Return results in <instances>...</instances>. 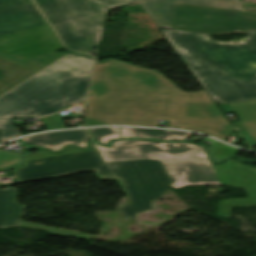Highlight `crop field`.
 <instances>
[{
    "label": "crop field",
    "instance_id": "8a807250",
    "mask_svg": "<svg viewBox=\"0 0 256 256\" xmlns=\"http://www.w3.org/2000/svg\"><path fill=\"white\" fill-rule=\"evenodd\" d=\"M199 130L224 141L235 130L206 90L188 93L156 70L96 63L83 126L133 124Z\"/></svg>",
    "mask_w": 256,
    "mask_h": 256
},
{
    "label": "crop field",
    "instance_id": "ac0d7876",
    "mask_svg": "<svg viewBox=\"0 0 256 256\" xmlns=\"http://www.w3.org/2000/svg\"><path fill=\"white\" fill-rule=\"evenodd\" d=\"M216 104L256 100V31L239 43L161 29Z\"/></svg>",
    "mask_w": 256,
    "mask_h": 256
},
{
    "label": "crop field",
    "instance_id": "34b2d1b8",
    "mask_svg": "<svg viewBox=\"0 0 256 256\" xmlns=\"http://www.w3.org/2000/svg\"><path fill=\"white\" fill-rule=\"evenodd\" d=\"M96 147L104 162L160 160L173 180L170 186L174 188L199 184L245 188L249 198L219 202L218 216L229 217L231 206L256 205V169L235 160L223 166H214L204 148L197 145L127 140L115 141L110 148Z\"/></svg>",
    "mask_w": 256,
    "mask_h": 256
},
{
    "label": "crop field",
    "instance_id": "412701ff",
    "mask_svg": "<svg viewBox=\"0 0 256 256\" xmlns=\"http://www.w3.org/2000/svg\"><path fill=\"white\" fill-rule=\"evenodd\" d=\"M95 172L99 179H116L127 195L129 205L121 206L124 220L153 209L152 201L170 191L172 182L160 161L138 160L102 163L96 149L29 161L17 170L24 182Z\"/></svg>",
    "mask_w": 256,
    "mask_h": 256
},
{
    "label": "crop field",
    "instance_id": "f4fd0767",
    "mask_svg": "<svg viewBox=\"0 0 256 256\" xmlns=\"http://www.w3.org/2000/svg\"><path fill=\"white\" fill-rule=\"evenodd\" d=\"M93 62L68 54L0 96V143L21 135L13 117H40L84 100Z\"/></svg>",
    "mask_w": 256,
    "mask_h": 256
},
{
    "label": "crop field",
    "instance_id": "dd49c442",
    "mask_svg": "<svg viewBox=\"0 0 256 256\" xmlns=\"http://www.w3.org/2000/svg\"><path fill=\"white\" fill-rule=\"evenodd\" d=\"M68 48L92 53L99 46L107 10L133 0H35Z\"/></svg>",
    "mask_w": 256,
    "mask_h": 256
},
{
    "label": "crop field",
    "instance_id": "e52e79f7",
    "mask_svg": "<svg viewBox=\"0 0 256 256\" xmlns=\"http://www.w3.org/2000/svg\"><path fill=\"white\" fill-rule=\"evenodd\" d=\"M170 29L211 34L256 30V11H238L173 3Z\"/></svg>",
    "mask_w": 256,
    "mask_h": 256
},
{
    "label": "crop field",
    "instance_id": "d8731c3e",
    "mask_svg": "<svg viewBox=\"0 0 256 256\" xmlns=\"http://www.w3.org/2000/svg\"><path fill=\"white\" fill-rule=\"evenodd\" d=\"M50 25L0 38V52L19 60L62 49Z\"/></svg>",
    "mask_w": 256,
    "mask_h": 256
},
{
    "label": "crop field",
    "instance_id": "5a996713",
    "mask_svg": "<svg viewBox=\"0 0 256 256\" xmlns=\"http://www.w3.org/2000/svg\"><path fill=\"white\" fill-rule=\"evenodd\" d=\"M44 24L32 0H0V37Z\"/></svg>",
    "mask_w": 256,
    "mask_h": 256
},
{
    "label": "crop field",
    "instance_id": "3316defc",
    "mask_svg": "<svg viewBox=\"0 0 256 256\" xmlns=\"http://www.w3.org/2000/svg\"><path fill=\"white\" fill-rule=\"evenodd\" d=\"M26 206L17 204V189H0V227H11V226H29L41 229L50 230L49 233L74 237L80 239H88L87 234L73 232L68 230H59L51 227L33 224L29 222L21 221V217L24 215ZM46 230V231H47Z\"/></svg>",
    "mask_w": 256,
    "mask_h": 256
},
{
    "label": "crop field",
    "instance_id": "28ad6ade",
    "mask_svg": "<svg viewBox=\"0 0 256 256\" xmlns=\"http://www.w3.org/2000/svg\"><path fill=\"white\" fill-rule=\"evenodd\" d=\"M159 28H169L172 2L244 10L239 0H138Z\"/></svg>",
    "mask_w": 256,
    "mask_h": 256
},
{
    "label": "crop field",
    "instance_id": "d1516ede",
    "mask_svg": "<svg viewBox=\"0 0 256 256\" xmlns=\"http://www.w3.org/2000/svg\"><path fill=\"white\" fill-rule=\"evenodd\" d=\"M90 138L86 130L48 133L22 139L35 147H45L54 151L61 150L67 144L87 148L86 142Z\"/></svg>",
    "mask_w": 256,
    "mask_h": 256
},
{
    "label": "crop field",
    "instance_id": "22f410ed",
    "mask_svg": "<svg viewBox=\"0 0 256 256\" xmlns=\"http://www.w3.org/2000/svg\"><path fill=\"white\" fill-rule=\"evenodd\" d=\"M121 137H137V138H157L162 141H181L190 138L192 133L155 130L145 128H121Z\"/></svg>",
    "mask_w": 256,
    "mask_h": 256
},
{
    "label": "crop field",
    "instance_id": "cbeb9de0",
    "mask_svg": "<svg viewBox=\"0 0 256 256\" xmlns=\"http://www.w3.org/2000/svg\"><path fill=\"white\" fill-rule=\"evenodd\" d=\"M256 142V101L229 104Z\"/></svg>",
    "mask_w": 256,
    "mask_h": 256
},
{
    "label": "crop field",
    "instance_id": "5142ce71",
    "mask_svg": "<svg viewBox=\"0 0 256 256\" xmlns=\"http://www.w3.org/2000/svg\"><path fill=\"white\" fill-rule=\"evenodd\" d=\"M66 54L67 53H53V54L42 56V57L30 60V61H26V62H21L19 60L12 59V58L4 56L2 54H0V57L39 72L40 70L44 69L45 67L52 64L53 62L60 59L61 57H63Z\"/></svg>",
    "mask_w": 256,
    "mask_h": 256
},
{
    "label": "crop field",
    "instance_id": "d9b57169",
    "mask_svg": "<svg viewBox=\"0 0 256 256\" xmlns=\"http://www.w3.org/2000/svg\"><path fill=\"white\" fill-rule=\"evenodd\" d=\"M209 141L213 143L210 147H208V150L214 160V162L219 163L226 159L229 156L236 155V152L239 150L237 148L229 147L223 144H220L218 142L212 141L210 139H205L204 141Z\"/></svg>",
    "mask_w": 256,
    "mask_h": 256
},
{
    "label": "crop field",
    "instance_id": "733c2abd",
    "mask_svg": "<svg viewBox=\"0 0 256 256\" xmlns=\"http://www.w3.org/2000/svg\"><path fill=\"white\" fill-rule=\"evenodd\" d=\"M89 130L95 140L105 145H107L111 139L121 138L119 127L95 128Z\"/></svg>",
    "mask_w": 256,
    "mask_h": 256
},
{
    "label": "crop field",
    "instance_id": "4a817a6b",
    "mask_svg": "<svg viewBox=\"0 0 256 256\" xmlns=\"http://www.w3.org/2000/svg\"><path fill=\"white\" fill-rule=\"evenodd\" d=\"M71 117H81L80 114H67L62 116L61 114H55L52 116H48L45 118H42V122L45 124V126L48 128V130L53 129H62L66 128L64 124L63 118H71Z\"/></svg>",
    "mask_w": 256,
    "mask_h": 256
},
{
    "label": "crop field",
    "instance_id": "bc2a9ffb",
    "mask_svg": "<svg viewBox=\"0 0 256 256\" xmlns=\"http://www.w3.org/2000/svg\"><path fill=\"white\" fill-rule=\"evenodd\" d=\"M20 163V154L0 149V168Z\"/></svg>",
    "mask_w": 256,
    "mask_h": 256
},
{
    "label": "crop field",
    "instance_id": "214f88e0",
    "mask_svg": "<svg viewBox=\"0 0 256 256\" xmlns=\"http://www.w3.org/2000/svg\"><path fill=\"white\" fill-rule=\"evenodd\" d=\"M74 152H80V151L76 150V149H73V148H68L65 153H61V154H52L50 152H43V151L38 152V154H36V155H34V154H27V156H26L27 160H26L25 165L28 163L29 160H32V159H38V158H44V157H50V156H56V155L74 153ZM25 165L22 166V167H19V168H16V169L12 170L13 173L15 174V176L18 177L19 179H20V177L18 176V174L16 173L15 170L23 168V167H25Z\"/></svg>",
    "mask_w": 256,
    "mask_h": 256
}]
</instances>
